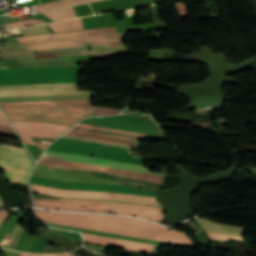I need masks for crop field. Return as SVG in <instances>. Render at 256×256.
<instances>
[{
    "mask_svg": "<svg viewBox=\"0 0 256 256\" xmlns=\"http://www.w3.org/2000/svg\"><path fill=\"white\" fill-rule=\"evenodd\" d=\"M35 215L45 222L151 239L193 245L180 231L164 230L162 226L144 221L102 215L46 212L34 210Z\"/></svg>",
    "mask_w": 256,
    "mask_h": 256,
    "instance_id": "crop-field-1",
    "label": "crop field"
},
{
    "mask_svg": "<svg viewBox=\"0 0 256 256\" xmlns=\"http://www.w3.org/2000/svg\"><path fill=\"white\" fill-rule=\"evenodd\" d=\"M8 118L75 124L84 114L119 110L90 107V99L0 103Z\"/></svg>",
    "mask_w": 256,
    "mask_h": 256,
    "instance_id": "crop-field-2",
    "label": "crop field"
},
{
    "mask_svg": "<svg viewBox=\"0 0 256 256\" xmlns=\"http://www.w3.org/2000/svg\"><path fill=\"white\" fill-rule=\"evenodd\" d=\"M65 136L77 137L86 140L114 143L137 148L138 140L144 137H157L145 134H138L126 131H119L101 127L77 124Z\"/></svg>",
    "mask_w": 256,
    "mask_h": 256,
    "instance_id": "crop-field-3",
    "label": "crop field"
},
{
    "mask_svg": "<svg viewBox=\"0 0 256 256\" xmlns=\"http://www.w3.org/2000/svg\"><path fill=\"white\" fill-rule=\"evenodd\" d=\"M0 165L11 182L21 184H26L34 166L24 148L7 144H0Z\"/></svg>",
    "mask_w": 256,
    "mask_h": 256,
    "instance_id": "crop-field-4",
    "label": "crop field"
},
{
    "mask_svg": "<svg viewBox=\"0 0 256 256\" xmlns=\"http://www.w3.org/2000/svg\"><path fill=\"white\" fill-rule=\"evenodd\" d=\"M30 185H31L32 191L34 192H39V193H44V194H49V195H54L59 197L112 199V200H121V201H130V202L159 205L156 202L155 198H151V197H141V196L101 193V192L71 191V190H61V189L49 188L44 186L32 185V184Z\"/></svg>",
    "mask_w": 256,
    "mask_h": 256,
    "instance_id": "crop-field-5",
    "label": "crop field"
},
{
    "mask_svg": "<svg viewBox=\"0 0 256 256\" xmlns=\"http://www.w3.org/2000/svg\"><path fill=\"white\" fill-rule=\"evenodd\" d=\"M76 84L0 86V97L90 93L75 91Z\"/></svg>",
    "mask_w": 256,
    "mask_h": 256,
    "instance_id": "crop-field-6",
    "label": "crop field"
},
{
    "mask_svg": "<svg viewBox=\"0 0 256 256\" xmlns=\"http://www.w3.org/2000/svg\"><path fill=\"white\" fill-rule=\"evenodd\" d=\"M39 163L46 166L61 168V169L94 170V171L113 173V174L123 175L127 177L137 178V179L151 181V182L160 183V184H162L163 178H164L161 176H155V175L125 171V170H118V169H112V168H106V167H100V166H94V165H88V164H81V163H75V162H69V161H63V160H57V159H51V158H45V157H42Z\"/></svg>",
    "mask_w": 256,
    "mask_h": 256,
    "instance_id": "crop-field-7",
    "label": "crop field"
},
{
    "mask_svg": "<svg viewBox=\"0 0 256 256\" xmlns=\"http://www.w3.org/2000/svg\"><path fill=\"white\" fill-rule=\"evenodd\" d=\"M19 135L56 138L72 125L11 120Z\"/></svg>",
    "mask_w": 256,
    "mask_h": 256,
    "instance_id": "crop-field-8",
    "label": "crop field"
},
{
    "mask_svg": "<svg viewBox=\"0 0 256 256\" xmlns=\"http://www.w3.org/2000/svg\"><path fill=\"white\" fill-rule=\"evenodd\" d=\"M43 156L164 176L163 174H160V173L148 172L149 169L144 166L98 159V158H91V157H85V156H79V155H73V154H67V153H61V152H55V151H49V150H46Z\"/></svg>",
    "mask_w": 256,
    "mask_h": 256,
    "instance_id": "crop-field-9",
    "label": "crop field"
},
{
    "mask_svg": "<svg viewBox=\"0 0 256 256\" xmlns=\"http://www.w3.org/2000/svg\"><path fill=\"white\" fill-rule=\"evenodd\" d=\"M34 204L35 206H39V207L57 208V209L74 210V211L114 212V213H119L124 215L148 218V219H152L160 222L163 218L162 213H158V212H148V211L120 209V208H111V207H97V206H87L86 208H81L79 205H61V204H43V203H34Z\"/></svg>",
    "mask_w": 256,
    "mask_h": 256,
    "instance_id": "crop-field-10",
    "label": "crop field"
},
{
    "mask_svg": "<svg viewBox=\"0 0 256 256\" xmlns=\"http://www.w3.org/2000/svg\"><path fill=\"white\" fill-rule=\"evenodd\" d=\"M34 202L43 203H61V204H79V205H97V206H111V207H121L139 210H149L162 212L161 207L112 202V201H96V200H72V199H59V200H45V199H33Z\"/></svg>",
    "mask_w": 256,
    "mask_h": 256,
    "instance_id": "crop-field-11",
    "label": "crop field"
},
{
    "mask_svg": "<svg viewBox=\"0 0 256 256\" xmlns=\"http://www.w3.org/2000/svg\"><path fill=\"white\" fill-rule=\"evenodd\" d=\"M82 234L84 236L85 241L88 243H94V244H99V245L111 244L114 247L128 249V250L137 251V252H142V253H146V254H149L153 247V245H151V244L125 241V240L101 237V236L84 234V233H82Z\"/></svg>",
    "mask_w": 256,
    "mask_h": 256,
    "instance_id": "crop-field-12",
    "label": "crop field"
},
{
    "mask_svg": "<svg viewBox=\"0 0 256 256\" xmlns=\"http://www.w3.org/2000/svg\"><path fill=\"white\" fill-rule=\"evenodd\" d=\"M115 30H116V27H111V28H101V29H91V30H81V31L35 35V36L16 37V39L18 41H26V40H32V39H38V38L59 37V36L79 35V34L115 33Z\"/></svg>",
    "mask_w": 256,
    "mask_h": 256,
    "instance_id": "crop-field-13",
    "label": "crop field"
},
{
    "mask_svg": "<svg viewBox=\"0 0 256 256\" xmlns=\"http://www.w3.org/2000/svg\"><path fill=\"white\" fill-rule=\"evenodd\" d=\"M126 33H116V34H100V35H79V36H69V37H59V38H48L39 39L33 41L22 42L23 45L41 43L53 40H63V39H123Z\"/></svg>",
    "mask_w": 256,
    "mask_h": 256,
    "instance_id": "crop-field-14",
    "label": "crop field"
},
{
    "mask_svg": "<svg viewBox=\"0 0 256 256\" xmlns=\"http://www.w3.org/2000/svg\"><path fill=\"white\" fill-rule=\"evenodd\" d=\"M199 223L204 226L208 231L213 232H223L228 233L236 236L242 237L245 229L244 228H238V227H232V226H226V225H220L208 221L201 220L197 218Z\"/></svg>",
    "mask_w": 256,
    "mask_h": 256,
    "instance_id": "crop-field-15",
    "label": "crop field"
},
{
    "mask_svg": "<svg viewBox=\"0 0 256 256\" xmlns=\"http://www.w3.org/2000/svg\"><path fill=\"white\" fill-rule=\"evenodd\" d=\"M49 26L55 32L83 29L81 18L57 22V23L49 24Z\"/></svg>",
    "mask_w": 256,
    "mask_h": 256,
    "instance_id": "crop-field-16",
    "label": "crop field"
},
{
    "mask_svg": "<svg viewBox=\"0 0 256 256\" xmlns=\"http://www.w3.org/2000/svg\"><path fill=\"white\" fill-rule=\"evenodd\" d=\"M88 1H94V0H59L55 2L45 3L42 5H36L35 9H36V12H43L47 10H53V9H57V8H61V7H65L73 4L88 2Z\"/></svg>",
    "mask_w": 256,
    "mask_h": 256,
    "instance_id": "crop-field-17",
    "label": "crop field"
},
{
    "mask_svg": "<svg viewBox=\"0 0 256 256\" xmlns=\"http://www.w3.org/2000/svg\"><path fill=\"white\" fill-rule=\"evenodd\" d=\"M80 45H82V40L55 42V43L31 46V47H27V48L43 50V49H49V48L74 47V46H80Z\"/></svg>",
    "mask_w": 256,
    "mask_h": 256,
    "instance_id": "crop-field-18",
    "label": "crop field"
},
{
    "mask_svg": "<svg viewBox=\"0 0 256 256\" xmlns=\"http://www.w3.org/2000/svg\"><path fill=\"white\" fill-rule=\"evenodd\" d=\"M46 15L48 17H50L51 19H53L54 21L75 17L72 7L54 11V12H50V13H46Z\"/></svg>",
    "mask_w": 256,
    "mask_h": 256,
    "instance_id": "crop-field-19",
    "label": "crop field"
},
{
    "mask_svg": "<svg viewBox=\"0 0 256 256\" xmlns=\"http://www.w3.org/2000/svg\"><path fill=\"white\" fill-rule=\"evenodd\" d=\"M0 123H8L4 115H0ZM0 134L17 136L10 124H0Z\"/></svg>",
    "mask_w": 256,
    "mask_h": 256,
    "instance_id": "crop-field-20",
    "label": "crop field"
},
{
    "mask_svg": "<svg viewBox=\"0 0 256 256\" xmlns=\"http://www.w3.org/2000/svg\"><path fill=\"white\" fill-rule=\"evenodd\" d=\"M43 23H45V21L29 19V20L19 21V22H15V23H10V24H13V27L16 28V27L29 26V25H35V24H43ZM10 24H5L3 26L10 25Z\"/></svg>",
    "mask_w": 256,
    "mask_h": 256,
    "instance_id": "crop-field-21",
    "label": "crop field"
},
{
    "mask_svg": "<svg viewBox=\"0 0 256 256\" xmlns=\"http://www.w3.org/2000/svg\"><path fill=\"white\" fill-rule=\"evenodd\" d=\"M21 30H22L24 35L49 32L46 25L33 27V28H27V29H21Z\"/></svg>",
    "mask_w": 256,
    "mask_h": 256,
    "instance_id": "crop-field-22",
    "label": "crop field"
},
{
    "mask_svg": "<svg viewBox=\"0 0 256 256\" xmlns=\"http://www.w3.org/2000/svg\"><path fill=\"white\" fill-rule=\"evenodd\" d=\"M208 234L210 235L211 239H215V240L226 241L228 237L236 238V239H240V240L243 239V238H240V237H236V236H232V235H228V234H223V233L208 232Z\"/></svg>",
    "mask_w": 256,
    "mask_h": 256,
    "instance_id": "crop-field-23",
    "label": "crop field"
},
{
    "mask_svg": "<svg viewBox=\"0 0 256 256\" xmlns=\"http://www.w3.org/2000/svg\"><path fill=\"white\" fill-rule=\"evenodd\" d=\"M85 42H94V45L123 46L121 40H117V41L85 40Z\"/></svg>",
    "mask_w": 256,
    "mask_h": 256,
    "instance_id": "crop-field-24",
    "label": "crop field"
},
{
    "mask_svg": "<svg viewBox=\"0 0 256 256\" xmlns=\"http://www.w3.org/2000/svg\"><path fill=\"white\" fill-rule=\"evenodd\" d=\"M17 229L22 230L23 228H21V227L17 224V226H16V228H15V230H14V232H13V234H12V236H11V238H10V240H9V243H8V245L6 246V248L9 247V245H10V243H11V241H12V239H13V237H14L16 231H17ZM23 230H24V229H23ZM19 233H20V231L18 230L17 233H16V235H15V237H14V239H13V241H12V244H11V246H10V249H12V247H13V245H14V243H15V241H16L18 235H19ZM13 248H14V247H13Z\"/></svg>",
    "mask_w": 256,
    "mask_h": 256,
    "instance_id": "crop-field-25",
    "label": "crop field"
},
{
    "mask_svg": "<svg viewBox=\"0 0 256 256\" xmlns=\"http://www.w3.org/2000/svg\"><path fill=\"white\" fill-rule=\"evenodd\" d=\"M20 137L23 139L24 142L32 144V145H38V146H42V147H46L47 146V145L33 143L31 137H25V136H20Z\"/></svg>",
    "mask_w": 256,
    "mask_h": 256,
    "instance_id": "crop-field-26",
    "label": "crop field"
},
{
    "mask_svg": "<svg viewBox=\"0 0 256 256\" xmlns=\"http://www.w3.org/2000/svg\"><path fill=\"white\" fill-rule=\"evenodd\" d=\"M85 55H113L112 53H101V52H81Z\"/></svg>",
    "mask_w": 256,
    "mask_h": 256,
    "instance_id": "crop-field-27",
    "label": "crop field"
},
{
    "mask_svg": "<svg viewBox=\"0 0 256 256\" xmlns=\"http://www.w3.org/2000/svg\"><path fill=\"white\" fill-rule=\"evenodd\" d=\"M52 56H55V55H52L48 52H44V53H37L34 58H39V57H52Z\"/></svg>",
    "mask_w": 256,
    "mask_h": 256,
    "instance_id": "crop-field-28",
    "label": "crop field"
},
{
    "mask_svg": "<svg viewBox=\"0 0 256 256\" xmlns=\"http://www.w3.org/2000/svg\"><path fill=\"white\" fill-rule=\"evenodd\" d=\"M61 254H57V255H31V254H25L22 253L21 256H60Z\"/></svg>",
    "mask_w": 256,
    "mask_h": 256,
    "instance_id": "crop-field-29",
    "label": "crop field"
},
{
    "mask_svg": "<svg viewBox=\"0 0 256 256\" xmlns=\"http://www.w3.org/2000/svg\"><path fill=\"white\" fill-rule=\"evenodd\" d=\"M7 212H5V211H0V223H1V221H2V219H3V217H5V216H7Z\"/></svg>",
    "mask_w": 256,
    "mask_h": 256,
    "instance_id": "crop-field-30",
    "label": "crop field"
},
{
    "mask_svg": "<svg viewBox=\"0 0 256 256\" xmlns=\"http://www.w3.org/2000/svg\"><path fill=\"white\" fill-rule=\"evenodd\" d=\"M0 114H2L1 110H0Z\"/></svg>",
    "mask_w": 256,
    "mask_h": 256,
    "instance_id": "crop-field-31",
    "label": "crop field"
}]
</instances>
